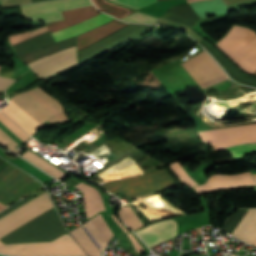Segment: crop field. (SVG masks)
I'll list each match as a JSON object with an SVG mask.
<instances>
[{
    "instance_id": "13",
    "label": "crop field",
    "mask_w": 256,
    "mask_h": 256,
    "mask_svg": "<svg viewBox=\"0 0 256 256\" xmlns=\"http://www.w3.org/2000/svg\"><path fill=\"white\" fill-rule=\"evenodd\" d=\"M135 233L151 248L176 235V221L172 219L160 221L137 230Z\"/></svg>"
},
{
    "instance_id": "22",
    "label": "crop field",
    "mask_w": 256,
    "mask_h": 256,
    "mask_svg": "<svg viewBox=\"0 0 256 256\" xmlns=\"http://www.w3.org/2000/svg\"><path fill=\"white\" fill-rule=\"evenodd\" d=\"M92 1L94 2V4L99 10L112 14L118 17L119 19H122L135 12V11L126 9L124 7L109 3L106 0H92Z\"/></svg>"
},
{
    "instance_id": "25",
    "label": "crop field",
    "mask_w": 256,
    "mask_h": 256,
    "mask_svg": "<svg viewBox=\"0 0 256 256\" xmlns=\"http://www.w3.org/2000/svg\"><path fill=\"white\" fill-rule=\"evenodd\" d=\"M248 210L249 208H238L236 212L228 216L223 229L232 234Z\"/></svg>"
},
{
    "instance_id": "29",
    "label": "crop field",
    "mask_w": 256,
    "mask_h": 256,
    "mask_svg": "<svg viewBox=\"0 0 256 256\" xmlns=\"http://www.w3.org/2000/svg\"><path fill=\"white\" fill-rule=\"evenodd\" d=\"M112 1L122 3V4H125V5H128V6H131V4H132V6L134 8L140 9L144 6H147L149 4H152V3L156 2L157 0H130L131 4H130L129 0H112Z\"/></svg>"
},
{
    "instance_id": "40",
    "label": "crop field",
    "mask_w": 256,
    "mask_h": 256,
    "mask_svg": "<svg viewBox=\"0 0 256 256\" xmlns=\"http://www.w3.org/2000/svg\"><path fill=\"white\" fill-rule=\"evenodd\" d=\"M255 189V191H256V188H254Z\"/></svg>"
},
{
    "instance_id": "20",
    "label": "crop field",
    "mask_w": 256,
    "mask_h": 256,
    "mask_svg": "<svg viewBox=\"0 0 256 256\" xmlns=\"http://www.w3.org/2000/svg\"><path fill=\"white\" fill-rule=\"evenodd\" d=\"M199 43H201L210 52V54L220 62V64L224 67V69L226 70L228 75L232 77V79H234L235 81H237L239 83H243V84H247V85L256 87L255 79H252V78H249L247 76L240 74L228 61H226L213 48L211 49L206 44H204L202 41Z\"/></svg>"
},
{
    "instance_id": "31",
    "label": "crop field",
    "mask_w": 256,
    "mask_h": 256,
    "mask_svg": "<svg viewBox=\"0 0 256 256\" xmlns=\"http://www.w3.org/2000/svg\"><path fill=\"white\" fill-rule=\"evenodd\" d=\"M1 68L2 65H0V69ZM14 81L15 79L0 76V90L4 92Z\"/></svg>"
},
{
    "instance_id": "16",
    "label": "crop field",
    "mask_w": 256,
    "mask_h": 256,
    "mask_svg": "<svg viewBox=\"0 0 256 256\" xmlns=\"http://www.w3.org/2000/svg\"><path fill=\"white\" fill-rule=\"evenodd\" d=\"M232 235L250 245L253 243L256 239V209L250 208Z\"/></svg>"
},
{
    "instance_id": "9",
    "label": "crop field",
    "mask_w": 256,
    "mask_h": 256,
    "mask_svg": "<svg viewBox=\"0 0 256 256\" xmlns=\"http://www.w3.org/2000/svg\"><path fill=\"white\" fill-rule=\"evenodd\" d=\"M215 150L239 143L256 142V124L199 132Z\"/></svg>"
},
{
    "instance_id": "28",
    "label": "crop field",
    "mask_w": 256,
    "mask_h": 256,
    "mask_svg": "<svg viewBox=\"0 0 256 256\" xmlns=\"http://www.w3.org/2000/svg\"><path fill=\"white\" fill-rule=\"evenodd\" d=\"M0 145L8 148L9 150L19 153L20 151L16 150L15 147L18 145L14 142L9 136H7L2 130H0Z\"/></svg>"
},
{
    "instance_id": "23",
    "label": "crop field",
    "mask_w": 256,
    "mask_h": 256,
    "mask_svg": "<svg viewBox=\"0 0 256 256\" xmlns=\"http://www.w3.org/2000/svg\"><path fill=\"white\" fill-rule=\"evenodd\" d=\"M75 239L82 245V247L87 251L91 256H99L100 251L93 244L87 234L84 232L82 226L70 231Z\"/></svg>"
},
{
    "instance_id": "35",
    "label": "crop field",
    "mask_w": 256,
    "mask_h": 256,
    "mask_svg": "<svg viewBox=\"0 0 256 256\" xmlns=\"http://www.w3.org/2000/svg\"><path fill=\"white\" fill-rule=\"evenodd\" d=\"M5 208H6V207L3 206V205L0 203V211L3 210V209H5Z\"/></svg>"
},
{
    "instance_id": "33",
    "label": "crop field",
    "mask_w": 256,
    "mask_h": 256,
    "mask_svg": "<svg viewBox=\"0 0 256 256\" xmlns=\"http://www.w3.org/2000/svg\"><path fill=\"white\" fill-rule=\"evenodd\" d=\"M112 216H113L114 220L117 222V224L122 228V230H123L125 233L129 232V231L117 220L116 215H112Z\"/></svg>"
},
{
    "instance_id": "2",
    "label": "crop field",
    "mask_w": 256,
    "mask_h": 256,
    "mask_svg": "<svg viewBox=\"0 0 256 256\" xmlns=\"http://www.w3.org/2000/svg\"><path fill=\"white\" fill-rule=\"evenodd\" d=\"M128 25L129 24L127 23L113 19L108 23H105L89 32L78 36V51ZM154 28H156V25L131 24L128 27L104 38L103 40L79 51V65L119 46L120 44L130 39L134 40Z\"/></svg>"
},
{
    "instance_id": "8",
    "label": "crop field",
    "mask_w": 256,
    "mask_h": 256,
    "mask_svg": "<svg viewBox=\"0 0 256 256\" xmlns=\"http://www.w3.org/2000/svg\"><path fill=\"white\" fill-rule=\"evenodd\" d=\"M170 167L185 185L189 187L196 185L193 179L188 175V173L181 167L178 162L170 164ZM253 176L256 180V175ZM254 181L250 175V172H245L240 175L233 176L213 175L210 177L206 185L197 186L194 187V189L199 191L200 193H203L229 187L256 185Z\"/></svg>"
},
{
    "instance_id": "18",
    "label": "crop field",
    "mask_w": 256,
    "mask_h": 256,
    "mask_svg": "<svg viewBox=\"0 0 256 256\" xmlns=\"http://www.w3.org/2000/svg\"><path fill=\"white\" fill-rule=\"evenodd\" d=\"M75 187L80 189L84 194V204L87 217L105 210L100 193L96 189L83 183H80Z\"/></svg>"
},
{
    "instance_id": "19",
    "label": "crop field",
    "mask_w": 256,
    "mask_h": 256,
    "mask_svg": "<svg viewBox=\"0 0 256 256\" xmlns=\"http://www.w3.org/2000/svg\"><path fill=\"white\" fill-rule=\"evenodd\" d=\"M201 19L228 11L222 0H204L189 3Z\"/></svg>"
},
{
    "instance_id": "36",
    "label": "crop field",
    "mask_w": 256,
    "mask_h": 256,
    "mask_svg": "<svg viewBox=\"0 0 256 256\" xmlns=\"http://www.w3.org/2000/svg\"><path fill=\"white\" fill-rule=\"evenodd\" d=\"M32 1V3H34V2H40V1H45V0H31Z\"/></svg>"
},
{
    "instance_id": "3",
    "label": "crop field",
    "mask_w": 256,
    "mask_h": 256,
    "mask_svg": "<svg viewBox=\"0 0 256 256\" xmlns=\"http://www.w3.org/2000/svg\"><path fill=\"white\" fill-rule=\"evenodd\" d=\"M216 45L245 71L256 72V34L253 31L234 26Z\"/></svg>"
},
{
    "instance_id": "6",
    "label": "crop field",
    "mask_w": 256,
    "mask_h": 256,
    "mask_svg": "<svg viewBox=\"0 0 256 256\" xmlns=\"http://www.w3.org/2000/svg\"><path fill=\"white\" fill-rule=\"evenodd\" d=\"M0 253L14 256H52V255H85L72 238L64 236L44 243L5 245L0 242Z\"/></svg>"
},
{
    "instance_id": "1",
    "label": "crop field",
    "mask_w": 256,
    "mask_h": 256,
    "mask_svg": "<svg viewBox=\"0 0 256 256\" xmlns=\"http://www.w3.org/2000/svg\"><path fill=\"white\" fill-rule=\"evenodd\" d=\"M54 207L46 192L0 218V239ZM67 233L53 208L0 241L5 244L52 241Z\"/></svg>"
},
{
    "instance_id": "26",
    "label": "crop field",
    "mask_w": 256,
    "mask_h": 256,
    "mask_svg": "<svg viewBox=\"0 0 256 256\" xmlns=\"http://www.w3.org/2000/svg\"><path fill=\"white\" fill-rule=\"evenodd\" d=\"M231 150L234 157L241 156L250 152H256V144H241L225 148Z\"/></svg>"
},
{
    "instance_id": "15",
    "label": "crop field",
    "mask_w": 256,
    "mask_h": 256,
    "mask_svg": "<svg viewBox=\"0 0 256 256\" xmlns=\"http://www.w3.org/2000/svg\"><path fill=\"white\" fill-rule=\"evenodd\" d=\"M162 17L191 28L198 25L195 21L200 20L188 3L171 7Z\"/></svg>"
},
{
    "instance_id": "34",
    "label": "crop field",
    "mask_w": 256,
    "mask_h": 256,
    "mask_svg": "<svg viewBox=\"0 0 256 256\" xmlns=\"http://www.w3.org/2000/svg\"><path fill=\"white\" fill-rule=\"evenodd\" d=\"M224 79H226L225 76H223V77H221V78H218V79H215V80H213V81L207 82V83H205V85L208 86V85H210V84L216 83V82L221 81V80H224Z\"/></svg>"
},
{
    "instance_id": "17",
    "label": "crop field",
    "mask_w": 256,
    "mask_h": 256,
    "mask_svg": "<svg viewBox=\"0 0 256 256\" xmlns=\"http://www.w3.org/2000/svg\"><path fill=\"white\" fill-rule=\"evenodd\" d=\"M55 43L49 31L14 45L18 57Z\"/></svg>"
},
{
    "instance_id": "14",
    "label": "crop field",
    "mask_w": 256,
    "mask_h": 256,
    "mask_svg": "<svg viewBox=\"0 0 256 256\" xmlns=\"http://www.w3.org/2000/svg\"><path fill=\"white\" fill-rule=\"evenodd\" d=\"M82 226L101 252L114 236L100 213Z\"/></svg>"
},
{
    "instance_id": "39",
    "label": "crop field",
    "mask_w": 256,
    "mask_h": 256,
    "mask_svg": "<svg viewBox=\"0 0 256 256\" xmlns=\"http://www.w3.org/2000/svg\"><path fill=\"white\" fill-rule=\"evenodd\" d=\"M255 247H256V240H255V242H254V244H253Z\"/></svg>"
},
{
    "instance_id": "12",
    "label": "crop field",
    "mask_w": 256,
    "mask_h": 256,
    "mask_svg": "<svg viewBox=\"0 0 256 256\" xmlns=\"http://www.w3.org/2000/svg\"><path fill=\"white\" fill-rule=\"evenodd\" d=\"M77 63L76 48L55 54L30 65L39 77L46 78Z\"/></svg>"
},
{
    "instance_id": "4",
    "label": "crop field",
    "mask_w": 256,
    "mask_h": 256,
    "mask_svg": "<svg viewBox=\"0 0 256 256\" xmlns=\"http://www.w3.org/2000/svg\"><path fill=\"white\" fill-rule=\"evenodd\" d=\"M41 125L47 120L50 124L68 121L59 101L51 98L39 87L11 98Z\"/></svg>"
},
{
    "instance_id": "41",
    "label": "crop field",
    "mask_w": 256,
    "mask_h": 256,
    "mask_svg": "<svg viewBox=\"0 0 256 256\" xmlns=\"http://www.w3.org/2000/svg\"><path fill=\"white\" fill-rule=\"evenodd\" d=\"M158 1H161V0H158Z\"/></svg>"
},
{
    "instance_id": "11",
    "label": "crop field",
    "mask_w": 256,
    "mask_h": 256,
    "mask_svg": "<svg viewBox=\"0 0 256 256\" xmlns=\"http://www.w3.org/2000/svg\"><path fill=\"white\" fill-rule=\"evenodd\" d=\"M182 66L197 85L225 75L222 68L206 51Z\"/></svg>"
},
{
    "instance_id": "7",
    "label": "crop field",
    "mask_w": 256,
    "mask_h": 256,
    "mask_svg": "<svg viewBox=\"0 0 256 256\" xmlns=\"http://www.w3.org/2000/svg\"><path fill=\"white\" fill-rule=\"evenodd\" d=\"M171 184L173 182L165 170H162L138 177L113 181L101 186L112 193L121 190L128 198H132L156 192Z\"/></svg>"
},
{
    "instance_id": "10",
    "label": "crop field",
    "mask_w": 256,
    "mask_h": 256,
    "mask_svg": "<svg viewBox=\"0 0 256 256\" xmlns=\"http://www.w3.org/2000/svg\"><path fill=\"white\" fill-rule=\"evenodd\" d=\"M93 5L90 0H57L21 6L24 15L36 21L63 19L60 10Z\"/></svg>"
},
{
    "instance_id": "24",
    "label": "crop field",
    "mask_w": 256,
    "mask_h": 256,
    "mask_svg": "<svg viewBox=\"0 0 256 256\" xmlns=\"http://www.w3.org/2000/svg\"><path fill=\"white\" fill-rule=\"evenodd\" d=\"M122 220L132 229L136 230L143 226L131 206L122 207L119 213Z\"/></svg>"
},
{
    "instance_id": "5",
    "label": "crop field",
    "mask_w": 256,
    "mask_h": 256,
    "mask_svg": "<svg viewBox=\"0 0 256 256\" xmlns=\"http://www.w3.org/2000/svg\"><path fill=\"white\" fill-rule=\"evenodd\" d=\"M99 13H101V12H99ZM99 13L94 8V6L80 8V9H74V10H69V11H63L62 14H63L65 20L47 23L46 26L48 27L50 32H54V31L60 30L62 28L76 24V23L83 21L85 19H88L90 17H93ZM111 19H113V17L101 13V14H99L93 18H90L88 20H85L81 23H78L71 27L54 32V33H52V35L55 38L56 42L62 41V40L68 39V38L75 37L76 35L84 33L90 29H93Z\"/></svg>"
},
{
    "instance_id": "38",
    "label": "crop field",
    "mask_w": 256,
    "mask_h": 256,
    "mask_svg": "<svg viewBox=\"0 0 256 256\" xmlns=\"http://www.w3.org/2000/svg\"><path fill=\"white\" fill-rule=\"evenodd\" d=\"M191 1H197V0H187V2H191Z\"/></svg>"
},
{
    "instance_id": "27",
    "label": "crop field",
    "mask_w": 256,
    "mask_h": 256,
    "mask_svg": "<svg viewBox=\"0 0 256 256\" xmlns=\"http://www.w3.org/2000/svg\"><path fill=\"white\" fill-rule=\"evenodd\" d=\"M122 20L128 21V22H135V23H153L154 21L157 20V18L136 12Z\"/></svg>"
},
{
    "instance_id": "30",
    "label": "crop field",
    "mask_w": 256,
    "mask_h": 256,
    "mask_svg": "<svg viewBox=\"0 0 256 256\" xmlns=\"http://www.w3.org/2000/svg\"><path fill=\"white\" fill-rule=\"evenodd\" d=\"M3 7H10L31 3L30 0H1Z\"/></svg>"
},
{
    "instance_id": "37",
    "label": "crop field",
    "mask_w": 256,
    "mask_h": 256,
    "mask_svg": "<svg viewBox=\"0 0 256 256\" xmlns=\"http://www.w3.org/2000/svg\"><path fill=\"white\" fill-rule=\"evenodd\" d=\"M5 162H3L2 160H0V166L2 165V164H4Z\"/></svg>"
},
{
    "instance_id": "32",
    "label": "crop field",
    "mask_w": 256,
    "mask_h": 256,
    "mask_svg": "<svg viewBox=\"0 0 256 256\" xmlns=\"http://www.w3.org/2000/svg\"><path fill=\"white\" fill-rule=\"evenodd\" d=\"M129 236V238L131 239L137 253L144 251L143 247L138 243V241L133 237V235L131 233L127 234Z\"/></svg>"
},
{
    "instance_id": "21",
    "label": "crop field",
    "mask_w": 256,
    "mask_h": 256,
    "mask_svg": "<svg viewBox=\"0 0 256 256\" xmlns=\"http://www.w3.org/2000/svg\"><path fill=\"white\" fill-rule=\"evenodd\" d=\"M22 157L26 158L28 161H30L34 165L38 166L39 168H41L42 170H44L45 172L49 173L50 175H52L53 177L59 180H62L66 176H68L61 170L57 169L56 167H54L53 165H51L41 157L31 153L28 150L22 155Z\"/></svg>"
}]
</instances>
